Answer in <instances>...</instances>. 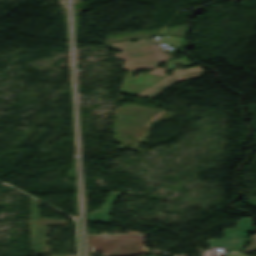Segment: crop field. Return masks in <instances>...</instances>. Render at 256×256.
Wrapping results in <instances>:
<instances>
[{
    "label": "crop field",
    "mask_w": 256,
    "mask_h": 256,
    "mask_svg": "<svg viewBox=\"0 0 256 256\" xmlns=\"http://www.w3.org/2000/svg\"><path fill=\"white\" fill-rule=\"evenodd\" d=\"M171 117L173 116L170 113L156 108L122 103L114 118L113 132L117 134L113 139L123 143L116 149L120 150L131 144L127 149L143 153L145 150L138 149L141 146L138 142L147 141L145 138L150 135L148 132L153 128L150 127L149 122L152 121L157 125L161 120Z\"/></svg>",
    "instance_id": "obj_1"
},
{
    "label": "crop field",
    "mask_w": 256,
    "mask_h": 256,
    "mask_svg": "<svg viewBox=\"0 0 256 256\" xmlns=\"http://www.w3.org/2000/svg\"><path fill=\"white\" fill-rule=\"evenodd\" d=\"M88 238L90 246L104 249L109 256L152 252L139 230H88Z\"/></svg>",
    "instance_id": "obj_2"
},
{
    "label": "crop field",
    "mask_w": 256,
    "mask_h": 256,
    "mask_svg": "<svg viewBox=\"0 0 256 256\" xmlns=\"http://www.w3.org/2000/svg\"><path fill=\"white\" fill-rule=\"evenodd\" d=\"M112 46L114 50L122 51L114 56L116 60H124L123 70L154 68L166 59V55L159 50L157 42L152 38L114 43Z\"/></svg>",
    "instance_id": "obj_3"
},
{
    "label": "crop field",
    "mask_w": 256,
    "mask_h": 256,
    "mask_svg": "<svg viewBox=\"0 0 256 256\" xmlns=\"http://www.w3.org/2000/svg\"><path fill=\"white\" fill-rule=\"evenodd\" d=\"M176 63H181L183 66L186 65H192L193 63L188 61L186 57L176 59L173 61L168 62L169 69L172 70L173 75L171 76H166L165 78L155 82L142 92L138 93L136 96L144 97V98H152L170 85L174 84L177 81H182V80H187V79H192V78H197L200 76V73L203 70L201 66L181 70V69H174L173 64Z\"/></svg>",
    "instance_id": "obj_4"
},
{
    "label": "crop field",
    "mask_w": 256,
    "mask_h": 256,
    "mask_svg": "<svg viewBox=\"0 0 256 256\" xmlns=\"http://www.w3.org/2000/svg\"><path fill=\"white\" fill-rule=\"evenodd\" d=\"M38 203L39 201L30 198L31 205V231H32V251L36 255H44L43 253V239L46 238V227L59 225L60 221L66 222L64 220L57 219H45L39 218L38 215Z\"/></svg>",
    "instance_id": "obj_5"
},
{
    "label": "crop field",
    "mask_w": 256,
    "mask_h": 256,
    "mask_svg": "<svg viewBox=\"0 0 256 256\" xmlns=\"http://www.w3.org/2000/svg\"><path fill=\"white\" fill-rule=\"evenodd\" d=\"M237 224L236 229H224L223 240H208L210 245H225L228 251L240 250L244 244L245 233L251 229L250 218H243Z\"/></svg>",
    "instance_id": "obj_6"
},
{
    "label": "crop field",
    "mask_w": 256,
    "mask_h": 256,
    "mask_svg": "<svg viewBox=\"0 0 256 256\" xmlns=\"http://www.w3.org/2000/svg\"><path fill=\"white\" fill-rule=\"evenodd\" d=\"M118 193L117 192H111L105 202V204L102 206V208L99 211L94 212L93 214L87 213L88 220L93 222H110V219L108 217V212L115 201Z\"/></svg>",
    "instance_id": "obj_7"
},
{
    "label": "crop field",
    "mask_w": 256,
    "mask_h": 256,
    "mask_svg": "<svg viewBox=\"0 0 256 256\" xmlns=\"http://www.w3.org/2000/svg\"><path fill=\"white\" fill-rule=\"evenodd\" d=\"M150 75H144V76H142V77H140V78H138V79H136L135 81H133V82H130V84H129V86H128V88L126 89V91H125V93L126 94H132V95H135V94H137L138 92H140V91H142L143 89H145L146 87H144V86H138V85H136V84H140V85H145V86H149V85H151L152 83H154L155 81H157V80H159V79H161V78H163V77H160V76H157V77H155L154 79H156V78H158V77H160L159 79H157V80H155L154 82H152V83H150V84H148L149 82H151V81H153L154 79H152L151 81H149L148 83H144V82H142V83H140L142 80H144V79H146L147 77H149ZM153 77V76H152ZM151 78V77H150ZM149 78V79H150ZM148 80V79H147ZM146 80V81H147Z\"/></svg>",
    "instance_id": "obj_8"
},
{
    "label": "crop field",
    "mask_w": 256,
    "mask_h": 256,
    "mask_svg": "<svg viewBox=\"0 0 256 256\" xmlns=\"http://www.w3.org/2000/svg\"><path fill=\"white\" fill-rule=\"evenodd\" d=\"M184 44L185 40L183 37H175V36H163L160 39V44Z\"/></svg>",
    "instance_id": "obj_9"
},
{
    "label": "crop field",
    "mask_w": 256,
    "mask_h": 256,
    "mask_svg": "<svg viewBox=\"0 0 256 256\" xmlns=\"http://www.w3.org/2000/svg\"><path fill=\"white\" fill-rule=\"evenodd\" d=\"M148 73L164 75L165 74V69L159 68V67H155L152 71H150Z\"/></svg>",
    "instance_id": "obj_10"
},
{
    "label": "crop field",
    "mask_w": 256,
    "mask_h": 256,
    "mask_svg": "<svg viewBox=\"0 0 256 256\" xmlns=\"http://www.w3.org/2000/svg\"><path fill=\"white\" fill-rule=\"evenodd\" d=\"M132 74H133V73H128V76H127V78H126V80H125V83H124V85H123V87H122L121 93H123V91H124V89H125V87H126V85H127V83H128L129 80L133 81L135 78H137L138 76L141 75V74H139V75H137V76L131 78ZM130 78H131V79H130Z\"/></svg>",
    "instance_id": "obj_11"
},
{
    "label": "crop field",
    "mask_w": 256,
    "mask_h": 256,
    "mask_svg": "<svg viewBox=\"0 0 256 256\" xmlns=\"http://www.w3.org/2000/svg\"><path fill=\"white\" fill-rule=\"evenodd\" d=\"M252 238L254 240V243L251 244V246L248 247L246 250H254V249H256V235H253Z\"/></svg>",
    "instance_id": "obj_12"
},
{
    "label": "crop field",
    "mask_w": 256,
    "mask_h": 256,
    "mask_svg": "<svg viewBox=\"0 0 256 256\" xmlns=\"http://www.w3.org/2000/svg\"><path fill=\"white\" fill-rule=\"evenodd\" d=\"M229 256H246L242 253H230Z\"/></svg>",
    "instance_id": "obj_13"
}]
</instances>
